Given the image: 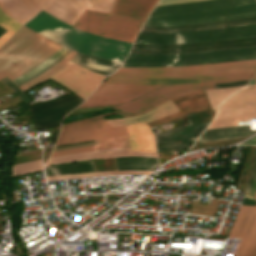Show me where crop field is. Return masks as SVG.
<instances>
[{
  "mask_svg": "<svg viewBox=\"0 0 256 256\" xmlns=\"http://www.w3.org/2000/svg\"><path fill=\"white\" fill-rule=\"evenodd\" d=\"M255 71L256 60L185 67H120L78 108L110 106L115 113L131 117L188 93L215 86L246 85L249 81L246 79H251ZM214 83L219 84L214 86ZM177 111L179 109L169 100L146 114L109 121L111 127L149 123Z\"/></svg>",
  "mask_w": 256,
  "mask_h": 256,
  "instance_id": "crop-field-1",
  "label": "crop field"
},
{
  "mask_svg": "<svg viewBox=\"0 0 256 256\" xmlns=\"http://www.w3.org/2000/svg\"><path fill=\"white\" fill-rule=\"evenodd\" d=\"M156 2L116 0L109 15L86 9L74 28L133 42ZM24 26L65 47L119 62H123L131 45L130 42L74 29L43 10Z\"/></svg>",
  "mask_w": 256,
  "mask_h": 256,
  "instance_id": "crop-field-2",
  "label": "crop field"
},
{
  "mask_svg": "<svg viewBox=\"0 0 256 256\" xmlns=\"http://www.w3.org/2000/svg\"><path fill=\"white\" fill-rule=\"evenodd\" d=\"M196 0H160L157 6ZM256 15V0H203L155 7L144 26H177Z\"/></svg>",
  "mask_w": 256,
  "mask_h": 256,
  "instance_id": "crop-field-3",
  "label": "crop field"
},
{
  "mask_svg": "<svg viewBox=\"0 0 256 256\" xmlns=\"http://www.w3.org/2000/svg\"><path fill=\"white\" fill-rule=\"evenodd\" d=\"M61 47L22 26L0 48V79L7 76L11 80L19 76ZM13 63L15 64L12 65Z\"/></svg>",
  "mask_w": 256,
  "mask_h": 256,
  "instance_id": "crop-field-4",
  "label": "crop field"
},
{
  "mask_svg": "<svg viewBox=\"0 0 256 256\" xmlns=\"http://www.w3.org/2000/svg\"><path fill=\"white\" fill-rule=\"evenodd\" d=\"M75 53L72 51L50 69L19 88L25 91L51 78L86 98L106 76L69 62Z\"/></svg>",
  "mask_w": 256,
  "mask_h": 256,
  "instance_id": "crop-field-5",
  "label": "crop field"
},
{
  "mask_svg": "<svg viewBox=\"0 0 256 256\" xmlns=\"http://www.w3.org/2000/svg\"><path fill=\"white\" fill-rule=\"evenodd\" d=\"M247 36H256V25L179 34L140 32L135 43L183 44Z\"/></svg>",
  "mask_w": 256,
  "mask_h": 256,
  "instance_id": "crop-field-6",
  "label": "crop field"
},
{
  "mask_svg": "<svg viewBox=\"0 0 256 256\" xmlns=\"http://www.w3.org/2000/svg\"><path fill=\"white\" fill-rule=\"evenodd\" d=\"M110 114L114 113L63 124L55 146L128 134L126 125L111 128L101 118Z\"/></svg>",
  "mask_w": 256,
  "mask_h": 256,
  "instance_id": "crop-field-7",
  "label": "crop field"
},
{
  "mask_svg": "<svg viewBox=\"0 0 256 256\" xmlns=\"http://www.w3.org/2000/svg\"><path fill=\"white\" fill-rule=\"evenodd\" d=\"M248 118H256V85L245 86L224 102L208 129L234 126Z\"/></svg>",
  "mask_w": 256,
  "mask_h": 256,
  "instance_id": "crop-field-8",
  "label": "crop field"
},
{
  "mask_svg": "<svg viewBox=\"0 0 256 256\" xmlns=\"http://www.w3.org/2000/svg\"><path fill=\"white\" fill-rule=\"evenodd\" d=\"M127 127H128L132 151L156 152L153 136L148 125L137 124V125H130ZM97 142H98V146H94V147L55 151L51 153L50 157L130 146L128 135L115 137V138L100 139V140H97Z\"/></svg>",
  "mask_w": 256,
  "mask_h": 256,
  "instance_id": "crop-field-9",
  "label": "crop field"
},
{
  "mask_svg": "<svg viewBox=\"0 0 256 256\" xmlns=\"http://www.w3.org/2000/svg\"><path fill=\"white\" fill-rule=\"evenodd\" d=\"M113 3L114 0H48L43 10L73 27L86 8L109 13Z\"/></svg>",
  "mask_w": 256,
  "mask_h": 256,
  "instance_id": "crop-field-10",
  "label": "crop field"
},
{
  "mask_svg": "<svg viewBox=\"0 0 256 256\" xmlns=\"http://www.w3.org/2000/svg\"><path fill=\"white\" fill-rule=\"evenodd\" d=\"M227 237L242 239L235 256H256V207H240Z\"/></svg>",
  "mask_w": 256,
  "mask_h": 256,
  "instance_id": "crop-field-11",
  "label": "crop field"
},
{
  "mask_svg": "<svg viewBox=\"0 0 256 256\" xmlns=\"http://www.w3.org/2000/svg\"><path fill=\"white\" fill-rule=\"evenodd\" d=\"M120 169H145L154 170L157 168V160L147 157H117ZM99 171L97 161H85L66 165L45 167V176L62 175L72 173H83Z\"/></svg>",
  "mask_w": 256,
  "mask_h": 256,
  "instance_id": "crop-field-12",
  "label": "crop field"
},
{
  "mask_svg": "<svg viewBox=\"0 0 256 256\" xmlns=\"http://www.w3.org/2000/svg\"><path fill=\"white\" fill-rule=\"evenodd\" d=\"M252 54H256V48H238L184 55L129 54L126 61L170 62Z\"/></svg>",
  "mask_w": 256,
  "mask_h": 256,
  "instance_id": "crop-field-13",
  "label": "crop field"
},
{
  "mask_svg": "<svg viewBox=\"0 0 256 256\" xmlns=\"http://www.w3.org/2000/svg\"><path fill=\"white\" fill-rule=\"evenodd\" d=\"M46 0H0V9L21 25L42 8Z\"/></svg>",
  "mask_w": 256,
  "mask_h": 256,
  "instance_id": "crop-field-14",
  "label": "crop field"
},
{
  "mask_svg": "<svg viewBox=\"0 0 256 256\" xmlns=\"http://www.w3.org/2000/svg\"><path fill=\"white\" fill-rule=\"evenodd\" d=\"M112 150H118V151L97 153V152L112 151ZM103 151H96V152H89V153H82V154H75V155L53 157V158L49 159L47 166L48 165H54V164L68 163V162L90 160V159H96V158H102V157H110V156H148V157L156 158L155 153H151V152H131L130 147L109 149V150H103Z\"/></svg>",
  "mask_w": 256,
  "mask_h": 256,
  "instance_id": "crop-field-15",
  "label": "crop field"
},
{
  "mask_svg": "<svg viewBox=\"0 0 256 256\" xmlns=\"http://www.w3.org/2000/svg\"><path fill=\"white\" fill-rule=\"evenodd\" d=\"M70 61L76 62L80 65L93 69L102 74L110 75L112 72L117 70L121 63L83 54L77 53Z\"/></svg>",
  "mask_w": 256,
  "mask_h": 256,
  "instance_id": "crop-field-16",
  "label": "crop field"
},
{
  "mask_svg": "<svg viewBox=\"0 0 256 256\" xmlns=\"http://www.w3.org/2000/svg\"><path fill=\"white\" fill-rule=\"evenodd\" d=\"M256 130H250L249 126H234L227 128L206 130L204 134L199 138V142L223 140L230 138L246 137L254 134Z\"/></svg>",
  "mask_w": 256,
  "mask_h": 256,
  "instance_id": "crop-field-17",
  "label": "crop field"
},
{
  "mask_svg": "<svg viewBox=\"0 0 256 256\" xmlns=\"http://www.w3.org/2000/svg\"><path fill=\"white\" fill-rule=\"evenodd\" d=\"M247 59H256V55L185 61V62H171V63L125 62L122 66H185V65L218 63V62L238 61V60H247Z\"/></svg>",
  "mask_w": 256,
  "mask_h": 256,
  "instance_id": "crop-field-18",
  "label": "crop field"
},
{
  "mask_svg": "<svg viewBox=\"0 0 256 256\" xmlns=\"http://www.w3.org/2000/svg\"><path fill=\"white\" fill-rule=\"evenodd\" d=\"M240 87H230V88H220V89H213L208 90L207 95L208 99L211 105L212 113H215V109L227 98H229L231 95H233L235 92H237Z\"/></svg>",
  "mask_w": 256,
  "mask_h": 256,
  "instance_id": "crop-field-19",
  "label": "crop field"
},
{
  "mask_svg": "<svg viewBox=\"0 0 256 256\" xmlns=\"http://www.w3.org/2000/svg\"><path fill=\"white\" fill-rule=\"evenodd\" d=\"M152 171L145 170H123V171H103L94 173H83V174H72V175H62V176H51L46 177L47 180L53 179H65V178H77V177H89V176H101V175H116V174H150Z\"/></svg>",
  "mask_w": 256,
  "mask_h": 256,
  "instance_id": "crop-field-20",
  "label": "crop field"
},
{
  "mask_svg": "<svg viewBox=\"0 0 256 256\" xmlns=\"http://www.w3.org/2000/svg\"><path fill=\"white\" fill-rule=\"evenodd\" d=\"M67 50H68V48L63 47L58 52L53 54L51 57H49L48 59L43 61L41 64H39L38 66L34 67L33 69L27 71L26 73L22 74L21 76L17 77L16 79H14L12 81L17 84V83L23 81L24 79L38 73L39 71H41L42 69L47 67L49 64H51L52 62L57 60L59 57H61Z\"/></svg>",
  "mask_w": 256,
  "mask_h": 256,
  "instance_id": "crop-field-21",
  "label": "crop field"
},
{
  "mask_svg": "<svg viewBox=\"0 0 256 256\" xmlns=\"http://www.w3.org/2000/svg\"><path fill=\"white\" fill-rule=\"evenodd\" d=\"M0 26L8 32L0 38V46L21 26L0 10Z\"/></svg>",
  "mask_w": 256,
  "mask_h": 256,
  "instance_id": "crop-field-22",
  "label": "crop field"
},
{
  "mask_svg": "<svg viewBox=\"0 0 256 256\" xmlns=\"http://www.w3.org/2000/svg\"><path fill=\"white\" fill-rule=\"evenodd\" d=\"M41 169H43L42 165H41V160H36V161L13 166L12 167V175L15 176V175L28 173V172H32V171H37V170H41Z\"/></svg>",
  "mask_w": 256,
  "mask_h": 256,
  "instance_id": "crop-field-23",
  "label": "crop field"
},
{
  "mask_svg": "<svg viewBox=\"0 0 256 256\" xmlns=\"http://www.w3.org/2000/svg\"><path fill=\"white\" fill-rule=\"evenodd\" d=\"M94 144H97L96 140L88 141V142H82V143H76V144H70V145H64V146H58V147H55L54 150L64 149V148H71V147L86 146V145H94Z\"/></svg>",
  "mask_w": 256,
  "mask_h": 256,
  "instance_id": "crop-field-24",
  "label": "crop field"
},
{
  "mask_svg": "<svg viewBox=\"0 0 256 256\" xmlns=\"http://www.w3.org/2000/svg\"><path fill=\"white\" fill-rule=\"evenodd\" d=\"M255 174H256V160H255V163H254V166H253V169H252V173H251L249 182H248L247 187H246V189H245V191H244L245 193H248V191H249V189H250V186H251V184H252V182H253V179H254V177H255Z\"/></svg>",
  "mask_w": 256,
  "mask_h": 256,
  "instance_id": "crop-field-25",
  "label": "crop field"
},
{
  "mask_svg": "<svg viewBox=\"0 0 256 256\" xmlns=\"http://www.w3.org/2000/svg\"><path fill=\"white\" fill-rule=\"evenodd\" d=\"M241 204L256 205V198H252V197H248L247 195H244V198Z\"/></svg>",
  "mask_w": 256,
  "mask_h": 256,
  "instance_id": "crop-field-26",
  "label": "crop field"
},
{
  "mask_svg": "<svg viewBox=\"0 0 256 256\" xmlns=\"http://www.w3.org/2000/svg\"><path fill=\"white\" fill-rule=\"evenodd\" d=\"M255 194H256V177H255L254 182L252 184V187H251V189L249 191V195L254 197Z\"/></svg>",
  "mask_w": 256,
  "mask_h": 256,
  "instance_id": "crop-field-27",
  "label": "crop field"
},
{
  "mask_svg": "<svg viewBox=\"0 0 256 256\" xmlns=\"http://www.w3.org/2000/svg\"><path fill=\"white\" fill-rule=\"evenodd\" d=\"M244 144H254L256 145V135L253 136L251 139H249L248 141L244 142Z\"/></svg>",
  "mask_w": 256,
  "mask_h": 256,
  "instance_id": "crop-field-28",
  "label": "crop field"
},
{
  "mask_svg": "<svg viewBox=\"0 0 256 256\" xmlns=\"http://www.w3.org/2000/svg\"><path fill=\"white\" fill-rule=\"evenodd\" d=\"M256 77V74H255V76L253 77V79Z\"/></svg>",
  "mask_w": 256,
  "mask_h": 256,
  "instance_id": "crop-field-29",
  "label": "crop field"
},
{
  "mask_svg": "<svg viewBox=\"0 0 256 256\" xmlns=\"http://www.w3.org/2000/svg\"><path fill=\"white\" fill-rule=\"evenodd\" d=\"M256 197V196H255Z\"/></svg>",
  "mask_w": 256,
  "mask_h": 256,
  "instance_id": "crop-field-30",
  "label": "crop field"
}]
</instances>
